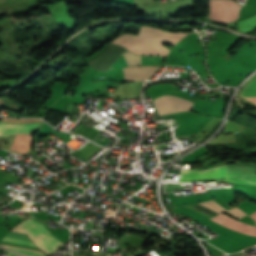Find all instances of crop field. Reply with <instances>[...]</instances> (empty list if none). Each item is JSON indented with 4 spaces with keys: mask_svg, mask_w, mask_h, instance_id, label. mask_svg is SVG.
Masks as SVG:
<instances>
[{
    "mask_svg": "<svg viewBox=\"0 0 256 256\" xmlns=\"http://www.w3.org/2000/svg\"><path fill=\"white\" fill-rule=\"evenodd\" d=\"M183 34L165 33L153 28H141L138 36L121 35L115 42L139 55L166 56L168 49L163 44L175 45Z\"/></svg>",
    "mask_w": 256,
    "mask_h": 256,
    "instance_id": "obj_1",
    "label": "crop field"
},
{
    "mask_svg": "<svg viewBox=\"0 0 256 256\" xmlns=\"http://www.w3.org/2000/svg\"><path fill=\"white\" fill-rule=\"evenodd\" d=\"M11 230L27 233L28 237L47 255L54 252L62 244L49 233L44 225L30 218L24 220Z\"/></svg>",
    "mask_w": 256,
    "mask_h": 256,
    "instance_id": "obj_2",
    "label": "crop field"
},
{
    "mask_svg": "<svg viewBox=\"0 0 256 256\" xmlns=\"http://www.w3.org/2000/svg\"><path fill=\"white\" fill-rule=\"evenodd\" d=\"M39 123L36 124H4L0 123V136L6 137L13 133H24L34 131ZM39 126V125H38ZM31 133L17 134L12 150L26 153L31 142Z\"/></svg>",
    "mask_w": 256,
    "mask_h": 256,
    "instance_id": "obj_3",
    "label": "crop field"
},
{
    "mask_svg": "<svg viewBox=\"0 0 256 256\" xmlns=\"http://www.w3.org/2000/svg\"><path fill=\"white\" fill-rule=\"evenodd\" d=\"M126 50L117 45H108L105 51L89 61L91 67L106 72L109 70L112 63L117 59L120 54H123ZM120 57V56H119ZM118 57V58H119Z\"/></svg>",
    "mask_w": 256,
    "mask_h": 256,
    "instance_id": "obj_4",
    "label": "crop field"
},
{
    "mask_svg": "<svg viewBox=\"0 0 256 256\" xmlns=\"http://www.w3.org/2000/svg\"><path fill=\"white\" fill-rule=\"evenodd\" d=\"M211 220L247 235L256 236V227L236 221L226 215L220 214L211 218Z\"/></svg>",
    "mask_w": 256,
    "mask_h": 256,
    "instance_id": "obj_5",
    "label": "crop field"
},
{
    "mask_svg": "<svg viewBox=\"0 0 256 256\" xmlns=\"http://www.w3.org/2000/svg\"><path fill=\"white\" fill-rule=\"evenodd\" d=\"M227 165L206 172L183 171L178 182L226 176Z\"/></svg>",
    "mask_w": 256,
    "mask_h": 256,
    "instance_id": "obj_6",
    "label": "crop field"
},
{
    "mask_svg": "<svg viewBox=\"0 0 256 256\" xmlns=\"http://www.w3.org/2000/svg\"><path fill=\"white\" fill-rule=\"evenodd\" d=\"M157 67L124 68L125 80H145Z\"/></svg>",
    "mask_w": 256,
    "mask_h": 256,
    "instance_id": "obj_7",
    "label": "crop field"
},
{
    "mask_svg": "<svg viewBox=\"0 0 256 256\" xmlns=\"http://www.w3.org/2000/svg\"><path fill=\"white\" fill-rule=\"evenodd\" d=\"M225 183H240L248 185H256V175L246 173H228Z\"/></svg>",
    "mask_w": 256,
    "mask_h": 256,
    "instance_id": "obj_8",
    "label": "crop field"
},
{
    "mask_svg": "<svg viewBox=\"0 0 256 256\" xmlns=\"http://www.w3.org/2000/svg\"><path fill=\"white\" fill-rule=\"evenodd\" d=\"M200 205H202L218 214L221 213L222 211H225L238 219L247 216V214H245L243 211L238 210L239 208L236 209L237 207L227 211L224 208H222L220 205H218L216 202H214L213 200L202 202V203H200Z\"/></svg>",
    "mask_w": 256,
    "mask_h": 256,
    "instance_id": "obj_9",
    "label": "crop field"
},
{
    "mask_svg": "<svg viewBox=\"0 0 256 256\" xmlns=\"http://www.w3.org/2000/svg\"><path fill=\"white\" fill-rule=\"evenodd\" d=\"M6 238H12V239H18V240H24V241H30V240H27V239H21V238H15V237H9V236H5ZM2 243H7V244H12V245H17V246H22V247H27V248H33V249H38V248H35V247H30V246H24V245H19V244H14V243H8V242H3V241H0ZM31 242V241H30ZM0 243V245H4V246H10V247H16V248H22V247H17V246H12V245H7V244H2ZM10 247H7V248H10ZM16 248H12V249H16ZM27 248H22V249H27ZM20 249V250H22ZM33 249H28V250H33ZM20 250H16V251H19V252H22L26 255H29V256H43L44 254L43 253H40V252H35V253H39V254H43V255H39V254H35V253H31V252H34V251H38V250H34V251H31V252H27V251H20Z\"/></svg>",
    "mask_w": 256,
    "mask_h": 256,
    "instance_id": "obj_10",
    "label": "crop field"
},
{
    "mask_svg": "<svg viewBox=\"0 0 256 256\" xmlns=\"http://www.w3.org/2000/svg\"><path fill=\"white\" fill-rule=\"evenodd\" d=\"M241 32H248L256 29V16L238 22Z\"/></svg>",
    "mask_w": 256,
    "mask_h": 256,
    "instance_id": "obj_11",
    "label": "crop field"
},
{
    "mask_svg": "<svg viewBox=\"0 0 256 256\" xmlns=\"http://www.w3.org/2000/svg\"><path fill=\"white\" fill-rule=\"evenodd\" d=\"M254 95H256V79L251 80L250 83L241 91L242 97Z\"/></svg>",
    "mask_w": 256,
    "mask_h": 256,
    "instance_id": "obj_12",
    "label": "crop field"
},
{
    "mask_svg": "<svg viewBox=\"0 0 256 256\" xmlns=\"http://www.w3.org/2000/svg\"><path fill=\"white\" fill-rule=\"evenodd\" d=\"M128 66L141 65L140 57L129 52L123 54Z\"/></svg>",
    "mask_w": 256,
    "mask_h": 256,
    "instance_id": "obj_13",
    "label": "crop field"
},
{
    "mask_svg": "<svg viewBox=\"0 0 256 256\" xmlns=\"http://www.w3.org/2000/svg\"><path fill=\"white\" fill-rule=\"evenodd\" d=\"M250 216L256 221V212Z\"/></svg>",
    "mask_w": 256,
    "mask_h": 256,
    "instance_id": "obj_14",
    "label": "crop field"
},
{
    "mask_svg": "<svg viewBox=\"0 0 256 256\" xmlns=\"http://www.w3.org/2000/svg\"><path fill=\"white\" fill-rule=\"evenodd\" d=\"M8 255H9V256H18V255H16V254H13V253H10V252H9Z\"/></svg>",
    "mask_w": 256,
    "mask_h": 256,
    "instance_id": "obj_15",
    "label": "crop field"
}]
</instances>
